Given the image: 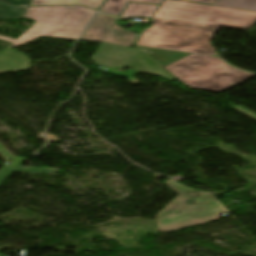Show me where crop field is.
Returning <instances> with one entry per match:
<instances>
[{
	"label": "crop field",
	"mask_w": 256,
	"mask_h": 256,
	"mask_svg": "<svg viewBox=\"0 0 256 256\" xmlns=\"http://www.w3.org/2000/svg\"><path fill=\"white\" fill-rule=\"evenodd\" d=\"M136 45L214 56L209 43L218 27L246 30L256 12L164 0Z\"/></svg>",
	"instance_id": "8a807250"
},
{
	"label": "crop field",
	"mask_w": 256,
	"mask_h": 256,
	"mask_svg": "<svg viewBox=\"0 0 256 256\" xmlns=\"http://www.w3.org/2000/svg\"><path fill=\"white\" fill-rule=\"evenodd\" d=\"M164 184L179 196L156 215L159 232L215 221L221 212H227L210 193L188 188L173 180Z\"/></svg>",
	"instance_id": "ac0d7876"
},
{
	"label": "crop field",
	"mask_w": 256,
	"mask_h": 256,
	"mask_svg": "<svg viewBox=\"0 0 256 256\" xmlns=\"http://www.w3.org/2000/svg\"><path fill=\"white\" fill-rule=\"evenodd\" d=\"M94 14L84 7H28L23 17L36 22L18 39H0L15 47L40 36L77 40Z\"/></svg>",
	"instance_id": "34b2d1b8"
},
{
	"label": "crop field",
	"mask_w": 256,
	"mask_h": 256,
	"mask_svg": "<svg viewBox=\"0 0 256 256\" xmlns=\"http://www.w3.org/2000/svg\"><path fill=\"white\" fill-rule=\"evenodd\" d=\"M164 68L192 89L216 93L256 75L238 70L216 57L196 54Z\"/></svg>",
	"instance_id": "412701ff"
},
{
	"label": "crop field",
	"mask_w": 256,
	"mask_h": 256,
	"mask_svg": "<svg viewBox=\"0 0 256 256\" xmlns=\"http://www.w3.org/2000/svg\"><path fill=\"white\" fill-rule=\"evenodd\" d=\"M116 18L97 14L93 22L83 34L81 40L108 42L129 47L135 41L136 33L125 30L115 24Z\"/></svg>",
	"instance_id": "f4fd0767"
},
{
	"label": "crop field",
	"mask_w": 256,
	"mask_h": 256,
	"mask_svg": "<svg viewBox=\"0 0 256 256\" xmlns=\"http://www.w3.org/2000/svg\"><path fill=\"white\" fill-rule=\"evenodd\" d=\"M140 51L102 42L92 56L96 65L108 68L132 67Z\"/></svg>",
	"instance_id": "dd49c442"
},
{
	"label": "crop field",
	"mask_w": 256,
	"mask_h": 256,
	"mask_svg": "<svg viewBox=\"0 0 256 256\" xmlns=\"http://www.w3.org/2000/svg\"><path fill=\"white\" fill-rule=\"evenodd\" d=\"M12 46L0 52V74L28 70L30 60L20 52L11 49Z\"/></svg>",
	"instance_id": "e52e79f7"
},
{
	"label": "crop field",
	"mask_w": 256,
	"mask_h": 256,
	"mask_svg": "<svg viewBox=\"0 0 256 256\" xmlns=\"http://www.w3.org/2000/svg\"><path fill=\"white\" fill-rule=\"evenodd\" d=\"M137 47L144 51L148 56H150L162 67L189 55V53L183 52L169 51L150 47Z\"/></svg>",
	"instance_id": "d8731c3e"
},
{
	"label": "crop field",
	"mask_w": 256,
	"mask_h": 256,
	"mask_svg": "<svg viewBox=\"0 0 256 256\" xmlns=\"http://www.w3.org/2000/svg\"><path fill=\"white\" fill-rule=\"evenodd\" d=\"M128 1L160 4L162 0H106L100 11L119 16ZM201 3L213 4L215 0H187Z\"/></svg>",
	"instance_id": "5a996713"
},
{
	"label": "crop field",
	"mask_w": 256,
	"mask_h": 256,
	"mask_svg": "<svg viewBox=\"0 0 256 256\" xmlns=\"http://www.w3.org/2000/svg\"><path fill=\"white\" fill-rule=\"evenodd\" d=\"M132 68L141 73L153 74L169 80L175 79L141 52Z\"/></svg>",
	"instance_id": "3316defc"
},
{
	"label": "crop field",
	"mask_w": 256,
	"mask_h": 256,
	"mask_svg": "<svg viewBox=\"0 0 256 256\" xmlns=\"http://www.w3.org/2000/svg\"><path fill=\"white\" fill-rule=\"evenodd\" d=\"M157 7L158 6H155V5L129 3V5L121 15V18H127V17H133V16L152 18V16L158 9Z\"/></svg>",
	"instance_id": "28ad6ade"
},
{
	"label": "crop field",
	"mask_w": 256,
	"mask_h": 256,
	"mask_svg": "<svg viewBox=\"0 0 256 256\" xmlns=\"http://www.w3.org/2000/svg\"><path fill=\"white\" fill-rule=\"evenodd\" d=\"M103 0H33L31 5H83L98 9Z\"/></svg>",
	"instance_id": "d1516ede"
},
{
	"label": "crop field",
	"mask_w": 256,
	"mask_h": 256,
	"mask_svg": "<svg viewBox=\"0 0 256 256\" xmlns=\"http://www.w3.org/2000/svg\"><path fill=\"white\" fill-rule=\"evenodd\" d=\"M213 5L256 11V0H216Z\"/></svg>",
	"instance_id": "22f410ed"
},
{
	"label": "crop field",
	"mask_w": 256,
	"mask_h": 256,
	"mask_svg": "<svg viewBox=\"0 0 256 256\" xmlns=\"http://www.w3.org/2000/svg\"><path fill=\"white\" fill-rule=\"evenodd\" d=\"M27 7L14 8L0 5V18H20Z\"/></svg>",
	"instance_id": "cbeb9de0"
},
{
	"label": "crop field",
	"mask_w": 256,
	"mask_h": 256,
	"mask_svg": "<svg viewBox=\"0 0 256 256\" xmlns=\"http://www.w3.org/2000/svg\"><path fill=\"white\" fill-rule=\"evenodd\" d=\"M113 69H107V71L103 70L104 73H109L115 76H123L125 73L124 72H112ZM138 72H136L134 69L129 68L127 70V74L125 75V77L132 82L133 84H137L139 83L132 75L136 74Z\"/></svg>",
	"instance_id": "5142ce71"
},
{
	"label": "crop field",
	"mask_w": 256,
	"mask_h": 256,
	"mask_svg": "<svg viewBox=\"0 0 256 256\" xmlns=\"http://www.w3.org/2000/svg\"><path fill=\"white\" fill-rule=\"evenodd\" d=\"M31 0H0V3L8 4L11 6L29 5Z\"/></svg>",
	"instance_id": "d9b57169"
},
{
	"label": "crop field",
	"mask_w": 256,
	"mask_h": 256,
	"mask_svg": "<svg viewBox=\"0 0 256 256\" xmlns=\"http://www.w3.org/2000/svg\"><path fill=\"white\" fill-rule=\"evenodd\" d=\"M235 108L240 110V111H242V112H244V113H246V114H248V115H250V116H252V117H254V118H256V114L255 113H253V112H251V111H249V110H247V109H245V108H243L241 106L235 107Z\"/></svg>",
	"instance_id": "733c2abd"
}]
</instances>
